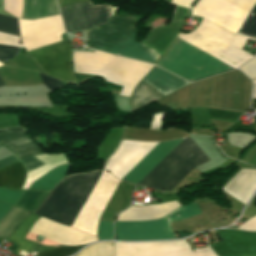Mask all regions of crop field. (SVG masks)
Instances as JSON below:
<instances>
[{
	"label": "crop field",
	"mask_w": 256,
	"mask_h": 256,
	"mask_svg": "<svg viewBox=\"0 0 256 256\" xmlns=\"http://www.w3.org/2000/svg\"><path fill=\"white\" fill-rule=\"evenodd\" d=\"M18 50V47L0 45V61L5 62L8 59L12 58L17 54Z\"/></svg>",
	"instance_id": "crop-field-33"
},
{
	"label": "crop field",
	"mask_w": 256,
	"mask_h": 256,
	"mask_svg": "<svg viewBox=\"0 0 256 256\" xmlns=\"http://www.w3.org/2000/svg\"><path fill=\"white\" fill-rule=\"evenodd\" d=\"M251 81L239 70L190 84L158 101L159 106L184 108L209 106L246 111L250 106Z\"/></svg>",
	"instance_id": "crop-field-2"
},
{
	"label": "crop field",
	"mask_w": 256,
	"mask_h": 256,
	"mask_svg": "<svg viewBox=\"0 0 256 256\" xmlns=\"http://www.w3.org/2000/svg\"><path fill=\"white\" fill-rule=\"evenodd\" d=\"M194 1L195 0H171L170 2L190 9V7Z\"/></svg>",
	"instance_id": "crop-field-39"
},
{
	"label": "crop field",
	"mask_w": 256,
	"mask_h": 256,
	"mask_svg": "<svg viewBox=\"0 0 256 256\" xmlns=\"http://www.w3.org/2000/svg\"><path fill=\"white\" fill-rule=\"evenodd\" d=\"M250 79L256 78V57L240 68Z\"/></svg>",
	"instance_id": "crop-field-36"
},
{
	"label": "crop field",
	"mask_w": 256,
	"mask_h": 256,
	"mask_svg": "<svg viewBox=\"0 0 256 256\" xmlns=\"http://www.w3.org/2000/svg\"><path fill=\"white\" fill-rule=\"evenodd\" d=\"M75 256H113V242H102L91 245Z\"/></svg>",
	"instance_id": "crop-field-26"
},
{
	"label": "crop field",
	"mask_w": 256,
	"mask_h": 256,
	"mask_svg": "<svg viewBox=\"0 0 256 256\" xmlns=\"http://www.w3.org/2000/svg\"><path fill=\"white\" fill-rule=\"evenodd\" d=\"M66 32L102 26L111 17L107 4L94 5L91 1L60 8Z\"/></svg>",
	"instance_id": "crop-field-13"
},
{
	"label": "crop field",
	"mask_w": 256,
	"mask_h": 256,
	"mask_svg": "<svg viewBox=\"0 0 256 256\" xmlns=\"http://www.w3.org/2000/svg\"><path fill=\"white\" fill-rule=\"evenodd\" d=\"M200 214L195 202L179 207L167 216L152 221L117 222L115 240H155L176 238L169 224Z\"/></svg>",
	"instance_id": "crop-field-8"
},
{
	"label": "crop field",
	"mask_w": 256,
	"mask_h": 256,
	"mask_svg": "<svg viewBox=\"0 0 256 256\" xmlns=\"http://www.w3.org/2000/svg\"><path fill=\"white\" fill-rule=\"evenodd\" d=\"M151 64L124 59L100 52H73V67L78 73L99 75L106 81L124 86L119 95L131 96Z\"/></svg>",
	"instance_id": "crop-field-4"
},
{
	"label": "crop field",
	"mask_w": 256,
	"mask_h": 256,
	"mask_svg": "<svg viewBox=\"0 0 256 256\" xmlns=\"http://www.w3.org/2000/svg\"><path fill=\"white\" fill-rule=\"evenodd\" d=\"M78 247H63L38 253L36 256H67L74 253Z\"/></svg>",
	"instance_id": "crop-field-32"
},
{
	"label": "crop field",
	"mask_w": 256,
	"mask_h": 256,
	"mask_svg": "<svg viewBox=\"0 0 256 256\" xmlns=\"http://www.w3.org/2000/svg\"><path fill=\"white\" fill-rule=\"evenodd\" d=\"M248 12L256 0H225ZM223 0H199L192 9V15L204 18L237 33L248 12L233 6Z\"/></svg>",
	"instance_id": "crop-field-9"
},
{
	"label": "crop field",
	"mask_w": 256,
	"mask_h": 256,
	"mask_svg": "<svg viewBox=\"0 0 256 256\" xmlns=\"http://www.w3.org/2000/svg\"><path fill=\"white\" fill-rule=\"evenodd\" d=\"M177 37L233 68H238L253 57L241 49L248 39L256 40L253 37L235 35L204 19L193 33H179Z\"/></svg>",
	"instance_id": "crop-field-6"
},
{
	"label": "crop field",
	"mask_w": 256,
	"mask_h": 256,
	"mask_svg": "<svg viewBox=\"0 0 256 256\" xmlns=\"http://www.w3.org/2000/svg\"><path fill=\"white\" fill-rule=\"evenodd\" d=\"M69 167V163L65 165H61L49 173L44 175L42 178L36 180L33 184H31L30 188L35 189H46L51 190L52 187L62 178Z\"/></svg>",
	"instance_id": "crop-field-24"
},
{
	"label": "crop field",
	"mask_w": 256,
	"mask_h": 256,
	"mask_svg": "<svg viewBox=\"0 0 256 256\" xmlns=\"http://www.w3.org/2000/svg\"><path fill=\"white\" fill-rule=\"evenodd\" d=\"M30 213L13 207L5 219L0 223V238L5 239Z\"/></svg>",
	"instance_id": "crop-field-23"
},
{
	"label": "crop field",
	"mask_w": 256,
	"mask_h": 256,
	"mask_svg": "<svg viewBox=\"0 0 256 256\" xmlns=\"http://www.w3.org/2000/svg\"><path fill=\"white\" fill-rule=\"evenodd\" d=\"M183 139L162 142L123 180L137 184ZM199 148L190 137L185 138L138 185L170 191L195 167L209 161Z\"/></svg>",
	"instance_id": "crop-field-1"
},
{
	"label": "crop field",
	"mask_w": 256,
	"mask_h": 256,
	"mask_svg": "<svg viewBox=\"0 0 256 256\" xmlns=\"http://www.w3.org/2000/svg\"><path fill=\"white\" fill-rule=\"evenodd\" d=\"M12 206L0 202V222L6 216V214L11 210Z\"/></svg>",
	"instance_id": "crop-field-38"
},
{
	"label": "crop field",
	"mask_w": 256,
	"mask_h": 256,
	"mask_svg": "<svg viewBox=\"0 0 256 256\" xmlns=\"http://www.w3.org/2000/svg\"><path fill=\"white\" fill-rule=\"evenodd\" d=\"M100 172L61 180L34 214L71 227Z\"/></svg>",
	"instance_id": "crop-field-5"
},
{
	"label": "crop field",
	"mask_w": 256,
	"mask_h": 256,
	"mask_svg": "<svg viewBox=\"0 0 256 256\" xmlns=\"http://www.w3.org/2000/svg\"><path fill=\"white\" fill-rule=\"evenodd\" d=\"M59 14L55 0H24L21 19H35Z\"/></svg>",
	"instance_id": "crop-field-19"
},
{
	"label": "crop field",
	"mask_w": 256,
	"mask_h": 256,
	"mask_svg": "<svg viewBox=\"0 0 256 256\" xmlns=\"http://www.w3.org/2000/svg\"><path fill=\"white\" fill-rule=\"evenodd\" d=\"M35 157L37 159H39L40 161H42L47 166L28 173L23 188H29V186L32 182H34L36 179L42 177L44 174H46L51 169H53L61 164L67 163L64 156H62V154H55V155L43 154V155H39V156H35Z\"/></svg>",
	"instance_id": "crop-field-22"
},
{
	"label": "crop field",
	"mask_w": 256,
	"mask_h": 256,
	"mask_svg": "<svg viewBox=\"0 0 256 256\" xmlns=\"http://www.w3.org/2000/svg\"><path fill=\"white\" fill-rule=\"evenodd\" d=\"M62 42L28 51L30 56L48 75L62 81L76 83L71 71V50L66 33L61 35Z\"/></svg>",
	"instance_id": "crop-field-11"
},
{
	"label": "crop field",
	"mask_w": 256,
	"mask_h": 256,
	"mask_svg": "<svg viewBox=\"0 0 256 256\" xmlns=\"http://www.w3.org/2000/svg\"><path fill=\"white\" fill-rule=\"evenodd\" d=\"M90 48L155 64L161 55L135 41L133 16L114 17L103 27L87 30Z\"/></svg>",
	"instance_id": "crop-field-3"
},
{
	"label": "crop field",
	"mask_w": 256,
	"mask_h": 256,
	"mask_svg": "<svg viewBox=\"0 0 256 256\" xmlns=\"http://www.w3.org/2000/svg\"><path fill=\"white\" fill-rule=\"evenodd\" d=\"M37 218L38 216L34 214L29 216L9 238V240H12L17 244L18 249L15 250L14 252L19 254L23 251L28 254L34 247L38 245V243L24 239L27 232L29 231V229L31 228V226Z\"/></svg>",
	"instance_id": "crop-field-21"
},
{
	"label": "crop field",
	"mask_w": 256,
	"mask_h": 256,
	"mask_svg": "<svg viewBox=\"0 0 256 256\" xmlns=\"http://www.w3.org/2000/svg\"><path fill=\"white\" fill-rule=\"evenodd\" d=\"M19 29L26 51L60 41L65 33L60 15L34 21L20 20Z\"/></svg>",
	"instance_id": "crop-field-12"
},
{
	"label": "crop field",
	"mask_w": 256,
	"mask_h": 256,
	"mask_svg": "<svg viewBox=\"0 0 256 256\" xmlns=\"http://www.w3.org/2000/svg\"><path fill=\"white\" fill-rule=\"evenodd\" d=\"M208 117L210 120L235 123L240 112L232 110L212 109L207 108ZM242 113V112H241Z\"/></svg>",
	"instance_id": "crop-field-27"
},
{
	"label": "crop field",
	"mask_w": 256,
	"mask_h": 256,
	"mask_svg": "<svg viewBox=\"0 0 256 256\" xmlns=\"http://www.w3.org/2000/svg\"><path fill=\"white\" fill-rule=\"evenodd\" d=\"M25 132L26 130L20 127L0 130V144L19 159L42 154Z\"/></svg>",
	"instance_id": "crop-field-16"
},
{
	"label": "crop field",
	"mask_w": 256,
	"mask_h": 256,
	"mask_svg": "<svg viewBox=\"0 0 256 256\" xmlns=\"http://www.w3.org/2000/svg\"><path fill=\"white\" fill-rule=\"evenodd\" d=\"M193 253L185 240L147 243L114 242V256H215L206 247L194 249Z\"/></svg>",
	"instance_id": "crop-field-10"
},
{
	"label": "crop field",
	"mask_w": 256,
	"mask_h": 256,
	"mask_svg": "<svg viewBox=\"0 0 256 256\" xmlns=\"http://www.w3.org/2000/svg\"><path fill=\"white\" fill-rule=\"evenodd\" d=\"M253 83H254V89H253V97L252 98L256 99V80H253Z\"/></svg>",
	"instance_id": "crop-field-40"
},
{
	"label": "crop field",
	"mask_w": 256,
	"mask_h": 256,
	"mask_svg": "<svg viewBox=\"0 0 256 256\" xmlns=\"http://www.w3.org/2000/svg\"><path fill=\"white\" fill-rule=\"evenodd\" d=\"M239 228L246 229V230H256V217L248 220L243 225H241Z\"/></svg>",
	"instance_id": "crop-field-37"
},
{
	"label": "crop field",
	"mask_w": 256,
	"mask_h": 256,
	"mask_svg": "<svg viewBox=\"0 0 256 256\" xmlns=\"http://www.w3.org/2000/svg\"><path fill=\"white\" fill-rule=\"evenodd\" d=\"M238 34L256 37V6L251 11Z\"/></svg>",
	"instance_id": "crop-field-29"
},
{
	"label": "crop field",
	"mask_w": 256,
	"mask_h": 256,
	"mask_svg": "<svg viewBox=\"0 0 256 256\" xmlns=\"http://www.w3.org/2000/svg\"><path fill=\"white\" fill-rule=\"evenodd\" d=\"M5 84H4V82H3V80H2V78H1V76H0V86H4Z\"/></svg>",
	"instance_id": "crop-field-41"
},
{
	"label": "crop field",
	"mask_w": 256,
	"mask_h": 256,
	"mask_svg": "<svg viewBox=\"0 0 256 256\" xmlns=\"http://www.w3.org/2000/svg\"><path fill=\"white\" fill-rule=\"evenodd\" d=\"M30 232L67 246L83 245L97 240L93 236L86 235L41 217L35 221Z\"/></svg>",
	"instance_id": "crop-field-15"
},
{
	"label": "crop field",
	"mask_w": 256,
	"mask_h": 256,
	"mask_svg": "<svg viewBox=\"0 0 256 256\" xmlns=\"http://www.w3.org/2000/svg\"><path fill=\"white\" fill-rule=\"evenodd\" d=\"M143 81H145L164 96L189 84L188 82L155 66Z\"/></svg>",
	"instance_id": "crop-field-17"
},
{
	"label": "crop field",
	"mask_w": 256,
	"mask_h": 256,
	"mask_svg": "<svg viewBox=\"0 0 256 256\" xmlns=\"http://www.w3.org/2000/svg\"><path fill=\"white\" fill-rule=\"evenodd\" d=\"M162 96L143 81L136 87L131 96V112L140 109L153 101L161 99Z\"/></svg>",
	"instance_id": "crop-field-20"
},
{
	"label": "crop field",
	"mask_w": 256,
	"mask_h": 256,
	"mask_svg": "<svg viewBox=\"0 0 256 256\" xmlns=\"http://www.w3.org/2000/svg\"><path fill=\"white\" fill-rule=\"evenodd\" d=\"M112 223L113 221H99L98 231H97V237L99 240H104V239L113 240Z\"/></svg>",
	"instance_id": "crop-field-30"
},
{
	"label": "crop field",
	"mask_w": 256,
	"mask_h": 256,
	"mask_svg": "<svg viewBox=\"0 0 256 256\" xmlns=\"http://www.w3.org/2000/svg\"><path fill=\"white\" fill-rule=\"evenodd\" d=\"M22 192L23 191H10L0 188V201L14 206Z\"/></svg>",
	"instance_id": "crop-field-31"
},
{
	"label": "crop field",
	"mask_w": 256,
	"mask_h": 256,
	"mask_svg": "<svg viewBox=\"0 0 256 256\" xmlns=\"http://www.w3.org/2000/svg\"><path fill=\"white\" fill-rule=\"evenodd\" d=\"M0 32L20 36L17 19L0 15Z\"/></svg>",
	"instance_id": "crop-field-28"
},
{
	"label": "crop field",
	"mask_w": 256,
	"mask_h": 256,
	"mask_svg": "<svg viewBox=\"0 0 256 256\" xmlns=\"http://www.w3.org/2000/svg\"><path fill=\"white\" fill-rule=\"evenodd\" d=\"M39 75H40V77H41L43 83H44L52 92H54V91H56V90H59V89H61L62 87H64L63 84H62L60 81L56 80V79H53V78H51V77L44 76L45 74L42 75V74L39 73Z\"/></svg>",
	"instance_id": "crop-field-34"
},
{
	"label": "crop field",
	"mask_w": 256,
	"mask_h": 256,
	"mask_svg": "<svg viewBox=\"0 0 256 256\" xmlns=\"http://www.w3.org/2000/svg\"><path fill=\"white\" fill-rule=\"evenodd\" d=\"M156 65L188 81L232 69L177 37Z\"/></svg>",
	"instance_id": "crop-field-7"
},
{
	"label": "crop field",
	"mask_w": 256,
	"mask_h": 256,
	"mask_svg": "<svg viewBox=\"0 0 256 256\" xmlns=\"http://www.w3.org/2000/svg\"><path fill=\"white\" fill-rule=\"evenodd\" d=\"M47 193L44 191L25 190L16 205L33 212Z\"/></svg>",
	"instance_id": "crop-field-25"
},
{
	"label": "crop field",
	"mask_w": 256,
	"mask_h": 256,
	"mask_svg": "<svg viewBox=\"0 0 256 256\" xmlns=\"http://www.w3.org/2000/svg\"><path fill=\"white\" fill-rule=\"evenodd\" d=\"M21 163L24 165L27 173L30 171H33L35 169H38L40 167L45 166L43 163H41L34 157L21 160Z\"/></svg>",
	"instance_id": "crop-field-35"
},
{
	"label": "crop field",
	"mask_w": 256,
	"mask_h": 256,
	"mask_svg": "<svg viewBox=\"0 0 256 256\" xmlns=\"http://www.w3.org/2000/svg\"><path fill=\"white\" fill-rule=\"evenodd\" d=\"M18 162L12 155L0 160V169ZM25 180V169L20 162L0 170V185L11 189H20Z\"/></svg>",
	"instance_id": "crop-field-18"
},
{
	"label": "crop field",
	"mask_w": 256,
	"mask_h": 256,
	"mask_svg": "<svg viewBox=\"0 0 256 256\" xmlns=\"http://www.w3.org/2000/svg\"><path fill=\"white\" fill-rule=\"evenodd\" d=\"M221 241L210 247L218 256H256V232L216 230Z\"/></svg>",
	"instance_id": "crop-field-14"
}]
</instances>
